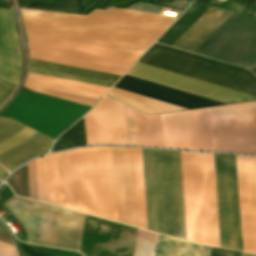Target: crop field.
Masks as SVG:
<instances>
[{
  "mask_svg": "<svg viewBox=\"0 0 256 256\" xmlns=\"http://www.w3.org/2000/svg\"><path fill=\"white\" fill-rule=\"evenodd\" d=\"M139 62L196 78L256 97V79L245 69L155 43ZM137 62L133 77L226 104L256 101L255 97ZM124 75L114 88L188 109L224 105L209 99Z\"/></svg>",
  "mask_w": 256,
  "mask_h": 256,
  "instance_id": "8a807250",
  "label": "crop field"
},
{
  "mask_svg": "<svg viewBox=\"0 0 256 256\" xmlns=\"http://www.w3.org/2000/svg\"><path fill=\"white\" fill-rule=\"evenodd\" d=\"M20 10L28 33L140 54L176 20L120 9L87 16Z\"/></svg>",
  "mask_w": 256,
  "mask_h": 256,
  "instance_id": "ac0d7876",
  "label": "crop field"
},
{
  "mask_svg": "<svg viewBox=\"0 0 256 256\" xmlns=\"http://www.w3.org/2000/svg\"><path fill=\"white\" fill-rule=\"evenodd\" d=\"M84 213L116 222L111 147L79 149ZM78 149L58 153L62 207L82 212Z\"/></svg>",
  "mask_w": 256,
  "mask_h": 256,
  "instance_id": "34b2d1b8",
  "label": "crop field"
},
{
  "mask_svg": "<svg viewBox=\"0 0 256 256\" xmlns=\"http://www.w3.org/2000/svg\"><path fill=\"white\" fill-rule=\"evenodd\" d=\"M142 155L148 230L187 240L180 152Z\"/></svg>",
  "mask_w": 256,
  "mask_h": 256,
  "instance_id": "412701ff",
  "label": "crop field"
},
{
  "mask_svg": "<svg viewBox=\"0 0 256 256\" xmlns=\"http://www.w3.org/2000/svg\"><path fill=\"white\" fill-rule=\"evenodd\" d=\"M181 158L188 240L219 247L212 154Z\"/></svg>",
  "mask_w": 256,
  "mask_h": 256,
  "instance_id": "f4fd0767",
  "label": "crop field"
},
{
  "mask_svg": "<svg viewBox=\"0 0 256 256\" xmlns=\"http://www.w3.org/2000/svg\"><path fill=\"white\" fill-rule=\"evenodd\" d=\"M3 206L23 225L29 243L78 251L84 214L17 196Z\"/></svg>",
  "mask_w": 256,
  "mask_h": 256,
  "instance_id": "dd49c442",
  "label": "crop field"
},
{
  "mask_svg": "<svg viewBox=\"0 0 256 256\" xmlns=\"http://www.w3.org/2000/svg\"><path fill=\"white\" fill-rule=\"evenodd\" d=\"M29 58L123 75L140 54L26 33Z\"/></svg>",
  "mask_w": 256,
  "mask_h": 256,
  "instance_id": "e52e79f7",
  "label": "crop field"
},
{
  "mask_svg": "<svg viewBox=\"0 0 256 256\" xmlns=\"http://www.w3.org/2000/svg\"><path fill=\"white\" fill-rule=\"evenodd\" d=\"M117 222L147 230L141 149L112 147Z\"/></svg>",
  "mask_w": 256,
  "mask_h": 256,
  "instance_id": "d8731c3e",
  "label": "crop field"
},
{
  "mask_svg": "<svg viewBox=\"0 0 256 256\" xmlns=\"http://www.w3.org/2000/svg\"><path fill=\"white\" fill-rule=\"evenodd\" d=\"M214 151L256 154L254 103L210 109Z\"/></svg>",
  "mask_w": 256,
  "mask_h": 256,
  "instance_id": "5a996713",
  "label": "crop field"
},
{
  "mask_svg": "<svg viewBox=\"0 0 256 256\" xmlns=\"http://www.w3.org/2000/svg\"><path fill=\"white\" fill-rule=\"evenodd\" d=\"M220 247L240 250L235 156L213 154Z\"/></svg>",
  "mask_w": 256,
  "mask_h": 256,
  "instance_id": "3316defc",
  "label": "crop field"
},
{
  "mask_svg": "<svg viewBox=\"0 0 256 256\" xmlns=\"http://www.w3.org/2000/svg\"><path fill=\"white\" fill-rule=\"evenodd\" d=\"M164 148L213 151L209 109L161 116Z\"/></svg>",
  "mask_w": 256,
  "mask_h": 256,
  "instance_id": "28ad6ade",
  "label": "crop field"
},
{
  "mask_svg": "<svg viewBox=\"0 0 256 256\" xmlns=\"http://www.w3.org/2000/svg\"><path fill=\"white\" fill-rule=\"evenodd\" d=\"M14 123L15 122L9 119L0 118V134L8 129L10 126H12ZM25 128L26 127L16 123L0 135V143L12 138L13 136L23 131ZM34 134L35 133L27 129L24 130L14 138L1 144L0 153H3L15 147L16 145L27 140ZM52 142V140L37 133L36 135L16 146L15 148L1 154L0 164L11 172L24 162L48 152Z\"/></svg>",
  "mask_w": 256,
  "mask_h": 256,
  "instance_id": "d1516ede",
  "label": "crop field"
},
{
  "mask_svg": "<svg viewBox=\"0 0 256 256\" xmlns=\"http://www.w3.org/2000/svg\"><path fill=\"white\" fill-rule=\"evenodd\" d=\"M242 249L256 254V157L236 156Z\"/></svg>",
  "mask_w": 256,
  "mask_h": 256,
  "instance_id": "22f410ed",
  "label": "crop field"
},
{
  "mask_svg": "<svg viewBox=\"0 0 256 256\" xmlns=\"http://www.w3.org/2000/svg\"><path fill=\"white\" fill-rule=\"evenodd\" d=\"M20 74V50L13 24V13L0 10V76L17 83Z\"/></svg>",
  "mask_w": 256,
  "mask_h": 256,
  "instance_id": "cbeb9de0",
  "label": "crop field"
},
{
  "mask_svg": "<svg viewBox=\"0 0 256 256\" xmlns=\"http://www.w3.org/2000/svg\"><path fill=\"white\" fill-rule=\"evenodd\" d=\"M28 72L111 87L121 76L29 59Z\"/></svg>",
  "mask_w": 256,
  "mask_h": 256,
  "instance_id": "5142ce71",
  "label": "crop field"
},
{
  "mask_svg": "<svg viewBox=\"0 0 256 256\" xmlns=\"http://www.w3.org/2000/svg\"><path fill=\"white\" fill-rule=\"evenodd\" d=\"M128 145L163 148L160 116L146 117L124 106Z\"/></svg>",
  "mask_w": 256,
  "mask_h": 256,
  "instance_id": "d9b57169",
  "label": "crop field"
},
{
  "mask_svg": "<svg viewBox=\"0 0 256 256\" xmlns=\"http://www.w3.org/2000/svg\"><path fill=\"white\" fill-rule=\"evenodd\" d=\"M232 14L233 12L211 7L172 47L193 52Z\"/></svg>",
  "mask_w": 256,
  "mask_h": 256,
  "instance_id": "733c2abd",
  "label": "crop field"
},
{
  "mask_svg": "<svg viewBox=\"0 0 256 256\" xmlns=\"http://www.w3.org/2000/svg\"><path fill=\"white\" fill-rule=\"evenodd\" d=\"M39 201L60 206L57 153L36 159Z\"/></svg>",
  "mask_w": 256,
  "mask_h": 256,
  "instance_id": "4a817a6b",
  "label": "crop field"
},
{
  "mask_svg": "<svg viewBox=\"0 0 256 256\" xmlns=\"http://www.w3.org/2000/svg\"><path fill=\"white\" fill-rule=\"evenodd\" d=\"M24 85L97 99H100V97L104 95L106 91L109 89L108 87L63 80L30 73H28Z\"/></svg>",
  "mask_w": 256,
  "mask_h": 256,
  "instance_id": "bc2a9ffb",
  "label": "crop field"
},
{
  "mask_svg": "<svg viewBox=\"0 0 256 256\" xmlns=\"http://www.w3.org/2000/svg\"><path fill=\"white\" fill-rule=\"evenodd\" d=\"M107 96L116 99L122 103H125L129 106H132L138 110H141L147 114L154 115L160 113H167L173 111L186 110L181 107L121 91L118 89L112 88Z\"/></svg>",
  "mask_w": 256,
  "mask_h": 256,
  "instance_id": "214f88e0",
  "label": "crop field"
},
{
  "mask_svg": "<svg viewBox=\"0 0 256 256\" xmlns=\"http://www.w3.org/2000/svg\"><path fill=\"white\" fill-rule=\"evenodd\" d=\"M209 8L210 7L193 4L191 8L157 42L171 46Z\"/></svg>",
  "mask_w": 256,
  "mask_h": 256,
  "instance_id": "92a150f3",
  "label": "crop field"
},
{
  "mask_svg": "<svg viewBox=\"0 0 256 256\" xmlns=\"http://www.w3.org/2000/svg\"><path fill=\"white\" fill-rule=\"evenodd\" d=\"M155 256H199L200 245L160 236Z\"/></svg>",
  "mask_w": 256,
  "mask_h": 256,
  "instance_id": "dafd665d",
  "label": "crop field"
},
{
  "mask_svg": "<svg viewBox=\"0 0 256 256\" xmlns=\"http://www.w3.org/2000/svg\"><path fill=\"white\" fill-rule=\"evenodd\" d=\"M86 145L84 121L83 118L79 120L74 126L66 131L61 137H59L53 145L51 152Z\"/></svg>",
  "mask_w": 256,
  "mask_h": 256,
  "instance_id": "00972430",
  "label": "crop field"
},
{
  "mask_svg": "<svg viewBox=\"0 0 256 256\" xmlns=\"http://www.w3.org/2000/svg\"><path fill=\"white\" fill-rule=\"evenodd\" d=\"M42 10L81 14L84 6L81 0H52V3L34 1L29 6H20Z\"/></svg>",
  "mask_w": 256,
  "mask_h": 256,
  "instance_id": "a9b5d70f",
  "label": "crop field"
},
{
  "mask_svg": "<svg viewBox=\"0 0 256 256\" xmlns=\"http://www.w3.org/2000/svg\"><path fill=\"white\" fill-rule=\"evenodd\" d=\"M5 182L11 186L15 195L29 198L27 166L17 170Z\"/></svg>",
  "mask_w": 256,
  "mask_h": 256,
  "instance_id": "4177f3b9",
  "label": "crop field"
},
{
  "mask_svg": "<svg viewBox=\"0 0 256 256\" xmlns=\"http://www.w3.org/2000/svg\"><path fill=\"white\" fill-rule=\"evenodd\" d=\"M24 87H26V86H24ZM26 88H28L32 91H36V92H40V93L60 97V98H63V99H67V100H71V101H75V102H79V103H83V104H87V105H91V106H93L98 101L97 99H91V98H86V97L70 95V94H64V93H59V92L42 90V89H37V88H32V87H26Z\"/></svg>",
  "mask_w": 256,
  "mask_h": 256,
  "instance_id": "730fd06b",
  "label": "crop field"
},
{
  "mask_svg": "<svg viewBox=\"0 0 256 256\" xmlns=\"http://www.w3.org/2000/svg\"><path fill=\"white\" fill-rule=\"evenodd\" d=\"M19 245L22 250L23 256H48L50 249L48 247L28 245L21 242H19Z\"/></svg>",
  "mask_w": 256,
  "mask_h": 256,
  "instance_id": "eef30255",
  "label": "crop field"
},
{
  "mask_svg": "<svg viewBox=\"0 0 256 256\" xmlns=\"http://www.w3.org/2000/svg\"><path fill=\"white\" fill-rule=\"evenodd\" d=\"M30 198L38 201L35 160L28 164Z\"/></svg>",
  "mask_w": 256,
  "mask_h": 256,
  "instance_id": "ae1a2a85",
  "label": "crop field"
},
{
  "mask_svg": "<svg viewBox=\"0 0 256 256\" xmlns=\"http://www.w3.org/2000/svg\"><path fill=\"white\" fill-rule=\"evenodd\" d=\"M16 86L0 78V106L10 97Z\"/></svg>",
  "mask_w": 256,
  "mask_h": 256,
  "instance_id": "d3111659",
  "label": "crop field"
},
{
  "mask_svg": "<svg viewBox=\"0 0 256 256\" xmlns=\"http://www.w3.org/2000/svg\"><path fill=\"white\" fill-rule=\"evenodd\" d=\"M0 256H17L14 247L0 243Z\"/></svg>",
  "mask_w": 256,
  "mask_h": 256,
  "instance_id": "750c4746",
  "label": "crop field"
},
{
  "mask_svg": "<svg viewBox=\"0 0 256 256\" xmlns=\"http://www.w3.org/2000/svg\"><path fill=\"white\" fill-rule=\"evenodd\" d=\"M210 250L211 248L202 246L200 256H210Z\"/></svg>",
  "mask_w": 256,
  "mask_h": 256,
  "instance_id": "bd1437ed",
  "label": "crop field"
},
{
  "mask_svg": "<svg viewBox=\"0 0 256 256\" xmlns=\"http://www.w3.org/2000/svg\"><path fill=\"white\" fill-rule=\"evenodd\" d=\"M7 172L0 167V180L6 176Z\"/></svg>",
  "mask_w": 256,
  "mask_h": 256,
  "instance_id": "1d83c4d3",
  "label": "crop field"
},
{
  "mask_svg": "<svg viewBox=\"0 0 256 256\" xmlns=\"http://www.w3.org/2000/svg\"><path fill=\"white\" fill-rule=\"evenodd\" d=\"M256 77V65L248 69Z\"/></svg>",
  "mask_w": 256,
  "mask_h": 256,
  "instance_id": "120bbe31",
  "label": "crop field"
},
{
  "mask_svg": "<svg viewBox=\"0 0 256 256\" xmlns=\"http://www.w3.org/2000/svg\"><path fill=\"white\" fill-rule=\"evenodd\" d=\"M241 256H255V255H249V254H244V253H242Z\"/></svg>",
  "mask_w": 256,
  "mask_h": 256,
  "instance_id": "d32e631a",
  "label": "crop field"
},
{
  "mask_svg": "<svg viewBox=\"0 0 256 256\" xmlns=\"http://www.w3.org/2000/svg\"><path fill=\"white\" fill-rule=\"evenodd\" d=\"M255 108H256V103H255Z\"/></svg>",
  "mask_w": 256,
  "mask_h": 256,
  "instance_id": "5866460e",
  "label": "crop field"
}]
</instances>
